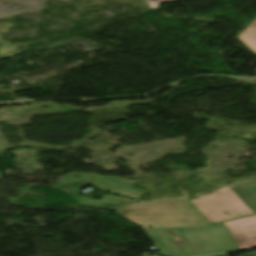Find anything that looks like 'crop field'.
Segmentation results:
<instances>
[{"instance_id": "crop-field-1", "label": "crop field", "mask_w": 256, "mask_h": 256, "mask_svg": "<svg viewBox=\"0 0 256 256\" xmlns=\"http://www.w3.org/2000/svg\"><path fill=\"white\" fill-rule=\"evenodd\" d=\"M164 256H197L238 249L223 223L200 228H143Z\"/></svg>"}, {"instance_id": "crop-field-2", "label": "crop field", "mask_w": 256, "mask_h": 256, "mask_svg": "<svg viewBox=\"0 0 256 256\" xmlns=\"http://www.w3.org/2000/svg\"><path fill=\"white\" fill-rule=\"evenodd\" d=\"M117 214L140 227H200L209 224L186 200L137 201Z\"/></svg>"}, {"instance_id": "crop-field-3", "label": "crop field", "mask_w": 256, "mask_h": 256, "mask_svg": "<svg viewBox=\"0 0 256 256\" xmlns=\"http://www.w3.org/2000/svg\"><path fill=\"white\" fill-rule=\"evenodd\" d=\"M192 202L211 223L253 214L228 186Z\"/></svg>"}, {"instance_id": "crop-field-4", "label": "crop field", "mask_w": 256, "mask_h": 256, "mask_svg": "<svg viewBox=\"0 0 256 256\" xmlns=\"http://www.w3.org/2000/svg\"><path fill=\"white\" fill-rule=\"evenodd\" d=\"M91 185L115 195L139 199L147 190L133 187L134 183L115 176H100L92 173H70L60 178L56 186L80 189Z\"/></svg>"}, {"instance_id": "crop-field-5", "label": "crop field", "mask_w": 256, "mask_h": 256, "mask_svg": "<svg viewBox=\"0 0 256 256\" xmlns=\"http://www.w3.org/2000/svg\"><path fill=\"white\" fill-rule=\"evenodd\" d=\"M239 249L256 247V216L225 222Z\"/></svg>"}, {"instance_id": "crop-field-6", "label": "crop field", "mask_w": 256, "mask_h": 256, "mask_svg": "<svg viewBox=\"0 0 256 256\" xmlns=\"http://www.w3.org/2000/svg\"><path fill=\"white\" fill-rule=\"evenodd\" d=\"M133 202H135V200H129V199L114 197L110 195H107L106 197H104L99 201L79 197V205L114 210V211H118Z\"/></svg>"}, {"instance_id": "crop-field-7", "label": "crop field", "mask_w": 256, "mask_h": 256, "mask_svg": "<svg viewBox=\"0 0 256 256\" xmlns=\"http://www.w3.org/2000/svg\"><path fill=\"white\" fill-rule=\"evenodd\" d=\"M229 187L256 214V180L230 185Z\"/></svg>"}, {"instance_id": "crop-field-8", "label": "crop field", "mask_w": 256, "mask_h": 256, "mask_svg": "<svg viewBox=\"0 0 256 256\" xmlns=\"http://www.w3.org/2000/svg\"><path fill=\"white\" fill-rule=\"evenodd\" d=\"M239 38L256 53V21L246 28Z\"/></svg>"}, {"instance_id": "crop-field-9", "label": "crop field", "mask_w": 256, "mask_h": 256, "mask_svg": "<svg viewBox=\"0 0 256 256\" xmlns=\"http://www.w3.org/2000/svg\"><path fill=\"white\" fill-rule=\"evenodd\" d=\"M5 151H6V150H5L4 144H3V142L0 141V154L3 153V152H5ZM0 176H1V175H0Z\"/></svg>"}, {"instance_id": "crop-field-10", "label": "crop field", "mask_w": 256, "mask_h": 256, "mask_svg": "<svg viewBox=\"0 0 256 256\" xmlns=\"http://www.w3.org/2000/svg\"><path fill=\"white\" fill-rule=\"evenodd\" d=\"M211 256H226V254L223 253V254H217V255H211Z\"/></svg>"}]
</instances>
